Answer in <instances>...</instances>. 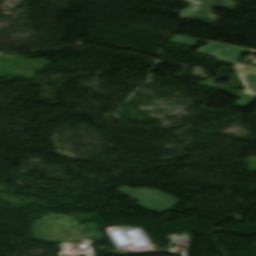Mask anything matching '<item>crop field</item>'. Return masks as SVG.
Wrapping results in <instances>:
<instances>
[{
	"label": "crop field",
	"instance_id": "crop-field-2",
	"mask_svg": "<svg viewBox=\"0 0 256 256\" xmlns=\"http://www.w3.org/2000/svg\"><path fill=\"white\" fill-rule=\"evenodd\" d=\"M197 41L207 44L205 46L200 47L197 50V52H200L215 58H219L234 64H236L241 58L240 56H237V55L241 51L248 50V48L202 41V40L179 36V35L173 36L169 42L194 47Z\"/></svg>",
	"mask_w": 256,
	"mask_h": 256
},
{
	"label": "crop field",
	"instance_id": "crop-field-4",
	"mask_svg": "<svg viewBox=\"0 0 256 256\" xmlns=\"http://www.w3.org/2000/svg\"><path fill=\"white\" fill-rule=\"evenodd\" d=\"M237 75L246 87L244 93L256 95V75L245 72H238Z\"/></svg>",
	"mask_w": 256,
	"mask_h": 256
},
{
	"label": "crop field",
	"instance_id": "crop-field-3",
	"mask_svg": "<svg viewBox=\"0 0 256 256\" xmlns=\"http://www.w3.org/2000/svg\"><path fill=\"white\" fill-rule=\"evenodd\" d=\"M191 2L189 7L182 11L179 18L202 22L214 25L217 16L211 13V10L216 7H224L235 10L237 4L233 3L234 0H185Z\"/></svg>",
	"mask_w": 256,
	"mask_h": 256
},
{
	"label": "crop field",
	"instance_id": "crop-field-6",
	"mask_svg": "<svg viewBox=\"0 0 256 256\" xmlns=\"http://www.w3.org/2000/svg\"><path fill=\"white\" fill-rule=\"evenodd\" d=\"M235 69H241V70H245V71H250V72H255L256 73V67L255 66H248V65L237 64V66H235Z\"/></svg>",
	"mask_w": 256,
	"mask_h": 256
},
{
	"label": "crop field",
	"instance_id": "crop-field-1",
	"mask_svg": "<svg viewBox=\"0 0 256 256\" xmlns=\"http://www.w3.org/2000/svg\"><path fill=\"white\" fill-rule=\"evenodd\" d=\"M139 202L128 199L129 201L153 212L169 211L179 200L155 189V188H137L130 189L126 186L115 189Z\"/></svg>",
	"mask_w": 256,
	"mask_h": 256
},
{
	"label": "crop field",
	"instance_id": "crop-field-5",
	"mask_svg": "<svg viewBox=\"0 0 256 256\" xmlns=\"http://www.w3.org/2000/svg\"><path fill=\"white\" fill-rule=\"evenodd\" d=\"M223 91L227 92V93H231L232 95H235V96L243 97V98L239 99L236 103H234L230 106L246 107L249 104H251L253 101L256 100V96H249V95L231 92V91H225V90H223Z\"/></svg>",
	"mask_w": 256,
	"mask_h": 256
}]
</instances>
